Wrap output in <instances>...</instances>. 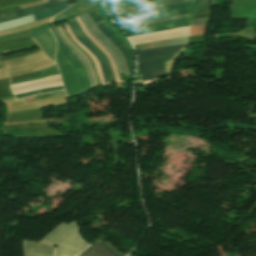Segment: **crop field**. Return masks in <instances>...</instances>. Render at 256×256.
<instances>
[{"label": "crop field", "instance_id": "8a807250", "mask_svg": "<svg viewBox=\"0 0 256 256\" xmlns=\"http://www.w3.org/2000/svg\"><path fill=\"white\" fill-rule=\"evenodd\" d=\"M52 32L55 35L56 40L58 42L57 49L72 64V66L75 70V73L78 77L80 88H81V91H79L80 88H79L78 80H77V77H76L74 70H73L72 66L70 65L69 61L57 51L56 52L57 66L61 72L64 87L66 89L67 94L79 91L76 93L69 94L68 97L75 96L80 93H84V92L88 91L90 89V86H89L87 75L85 73V70H84L81 62L65 45H63L61 43L57 34L53 30H52Z\"/></svg>", "mask_w": 256, "mask_h": 256}, {"label": "crop field", "instance_id": "ac0d7876", "mask_svg": "<svg viewBox=\"0 0 256 256\" xmlns=\"http://www.w3.org/2000/svg\"><path fill=\"white\" fill-rule=\"evenodd\" d=\"M184 46L185 45L146 51H139L135 48L138 53V66L142 80L156 79L166 74L167 72L164 66Z\"/></svg>", "mask_w": 256, "mask_h": 256}, {"label": "crop field", "instance_id": "34b2d1b8", "mask_svg": "<svg viewBox=\"0 0 256 256\" xmlns=\"http://www.w3.org/2000/svg\"><path fill=\"white\" fill-rule=\"evenodd\" d=\"M41 242L59 245L56 247L55 256H66L81 243H83L77 233L75 222L61 224ZM88 246L89 245L84 242L67 256H77Z\"/></svg>", "mask_w": 256, "mask_h": 256}, {"label": "crop field", "instance_id": "412701ff", "mask_svg": "<svg viewBox=\"0 0 256 256\" xmlns=\"http://www.w3.org/2000/svg\"><path fill=\"white\" fill-rule=\"evenodd\" d=\"M198 2L199 0H190V1H185V2H181V3L169 5V6H164V7L140 12V13L113 17L112 19L119 26L138 23V22H144V21H150V20H156V19H162V18L194 12Z\"/></svg>", "mask_w": 256, "mask_h": 256}, {"label": "crop field", "instance_id": "f4fd0767", "mask_svg": "<svg viewBox=\"0 0 256 256\" xmlns=\"http://www.w3.org/2000/svg\"><path fill=\"white\" fill-rule=\"evenodd\" d=\"M90 17L94 20L98 28L110 39V41L122 52L126 58L129 72L132 80L134 76L135 57L131 49L109 28L106 26L102 17L96 10L88 12Z\"/></svg>", "mask_w": 256, "mask_h": 256}, {"label": "crop field", "instance_id": "dd49c442", "mask_svg": "<svg viewBox=\"0 0 256 256\" xmlns=\"http://www.w3.org/2000/svg\"><path fill=\"white\" fill-rule=\"evenodd\" d=\"M72 23L74 24V26H75V28L78 31L80 36L78 35V33L75 30ZM67 24L70 26V28H71L73 34L75 35L76 39L78 41H80L84 46H86L94 54V56L98 59L100 65L102 67V70H103L105 82L106 83L110 82L109 78H112L114 76H113V73H112V67H111L110 62H109L108 58L106 57V55L94 43H92L88 39V37L82 32V30H81L79 24L77 23L76 19L71 20Z\"/></svg>", "mask_w": 256, "mask_h": 256}, {"label": "crop field", "instance_id": "e52e79f7", "mask_svg": "<svg viewBox=\"0 0 256 256\" xmlns=\"http://www.w3.org/2000/svg\"><path fill=\"white\" fill-rule=\"evenodd\" d=\"M183 36H189V26L172 29V30H167V31H162V32H157V33L132 36V37H130V39H131L133 45H136V44H141V43L160 41V40L171 39V38H176V37H183Z\"/></svg>", "mask_w": 256, "mask_h": 256}, {"label": "crop field", "instance_id": "d8731c3e", "mask_svg": "<svg viewBox=\"0 0 256 256\" xmlns=\"http://www.w3.org/2000/svg\"><path fill=\"white\" fill-rule=\"evenodd\" d=\"M71 1H73V0H54V1L46 3V4L20 9L15 12L0 16V23L3 21L13 20V19H17L19 17L35 14V13H38V12L68 3V2H71Z\"/></svg>", "mask_w": 256, "mask_h": 256}, {"label": "crop field", "instance_id": "5a996713", "mask_svg": "<svg viewBox=\"0 0 256 256\" xmlns=\"http://www.w3.org/2000/svg\"><path fill=\"white\" fill-rule=\"evenodd\" d=\"M29 34L38 42L43 51L54 60L56 44L53 36L50 33L49 26L43 27Z\"/></svg>", "mask_w": 256, "mask_h": 256}, {"label": "crop field", "instance_id": "3316defc", "mask_svg": "<svg viewBox=\"0 0 256 256\" xmlns=\"http://www.w3.org/2000/svg\"><path fill=\"white\" fill-rule=\"evenodd\" d=\"M207 19L208 18L196 19V20H190V21H184V22L168 24V25H164V26L144 28V29H139V30H134V31L126 32V34L128 36H132V35L157 32V31H162V30H167V29H172V28H177V27H182V26H187V25L206 24L207 23Z\"/></svg>", "mask_w": 256, "mask_h": 256}, {"label": "crop field", "instance_id": "28ad6ade", "mask_svg": "<svg viewBox=\"0 0 256 256\" xmlns=\"http://www.w3.org/2000/svg\"><path fill=\"white\" fill-rule=\"evenodd\" d=\"M25 256H53L54 248L48 244L23 241Z\"/></svg>", "mask_w": 256, "mask_h": 256}, {"label": "crop field", "instance_id": "d1516ede", "mask_svg": "<svg viewBox=\"0 0 256 256\" xmlns=\"http://www.w3.org/2000/svg\"><path fill=\"white\" fill-rule=\"evenodd\" d=\"M157 1H162V0H121V1H115V2H107V3H104V5L107 11H111V10L144 5V4L157 2Z\"/></svg>", "mask_w": 256, "mask_h": 256}, {"label": "crop field", "instance_id": "22f410ed", "mask_svg": "<svg viewBox=\"0 0 256 256\" xmlns=\"http://www.w3.org/2000/svg\"><path fill=\"white\" fill-rule=\"evenodd\" d=\"M87 253L93 254L95 256H119L112 249H110L107 245H105L104 243H102L100 241L93 244L91 247H89L86 251H84L79 256H86ZM89 254L87 256H93V255H89Z\"/></svg>", "mask_w": 256, "mask_h": 256}, {"label": "crop field", "instance_id": "cbeb9de0", "mask_svg": "<svg viewBox=\"0 0 256 256\" xmlns=\"http://www.w3.org/2000/svg\"><path fill=\"white\" fill-rule=\"evenodd\" d=\"M62 85L61 82L59 83H53V84H48V85H44V86H40V87H35V88H30V89H25V90H20V91H15L13 92L14 95L16 94H20L23 92H27V91H31V90H36V89H41V88H49V87H53V86H59ZM63 87L59 86V87H53V88H49V89H41V90H37V91H31V92H27L24 94H20V95H16V99H20L26 96H30V95H35V94H40V93H46V92H51V91H57V90H62Z\"/></svg>", "mask_w": 256, "mask_h": 256}, {"label": "crop field", "instance_id": "5142ce71", "mask_svg": "<svg viewBox=\"0 0 256 256\" xmlns=\"http://www.w3.org/2000/svg\"><path fill=\"white\" fill-rule=\"evenodd\" d=\"M52 28L56 31V33L58 34L59 38L61 39L62 43L65 44L79 59L80 61L83 63V66L86 70V73L88 75V78H89V81H90V84H91V87H94L96 86L95 83H94V80H93V76H92V73L90 71V67L89 65L87 64L86 60L83 58V56L78 53L74 48L73 46L67 42L63 35L61 34V32L56 28L55 24H53Z\"/></svg>", "mask_w": 256, "mask_h": 256}, {"label": "crop field", "instance_id": "d9b57169", "mask_svg": "<svg viewBox=\"0 0 256 256\" xmlns=\"http://www.w3.org/2000/svg\"><path fill=\"white\" fill-rule=\"evenodd\" d=\"M187 42H188V37L167 40V41H161V42L147 43V44H142V45H136V47L141 50H145V49H153V48H159V47H165V46H171V45L187 44Z\"/></svg>", "mask_w": 256, "mask_h": 256}, {"label": "crop field", "instance_id": "733c2abd", "mask_svg": "<svg viewBox=\"0 0 256 256\" xmlns=\"http://www.w3.org/2000/svg\"><path fill=\"white\" fill-rule=\"evenodd\" d=\"M84 17L87 19V21L90 23V25L93 27V29L106 41V43L118 54L122 66H123V70L125 75H129L128 73V69H127V65L125 62V58L124 56L121 54V52L108 40V38L97 28V26L95 25V23L93 22V20L89 17V15L87 13L83 14Z\"/></svg>", "mask_w": 256, "mask_h": 256}, {"label": "crop field", "instance_id": "4a817a6b", "mask_svg": "<svg viewBox=\"0 0 256 256\" xmlns=\"http://www.w3.org/2000/svg\"><path fill=\"white\" fill-rule=\"evenodd\" d=\"M181 1H185V0H171V1L162 2V3H156V4L141 6V7H135V8L125 9V10L114 11V12H110L109 14L111 17H113V16L128 14V13H132V12H137V11H141V10L152 9V8L169 5V4H173V3H177V2H181Z\"/></svg>", "mask_w": 256, "mask_h": 256}, {"label": "crop field", "instance_id": "bc2a9ffb", "mask_svg": "<svg viewBox=\"0 0 256 256\" xmlns=\"http://www.w3.org/2000/svg\"><path fill=\"white\" fill-rule=\"evenodd\" d=\"M80 18L83 20L86 28L88 29V31L90 32L91 35H93L113 56L117 67H118V71L119 72H123L122 70V66L121 63L119 61V58L117 56V54L105 43V41L91 28V26L88 24V22L86 21V19L83 17V15H80Z\"/></svg>", "mask_w": 256, "mask_h": 256}, {"label": "crop field", "instance_id": "214f88e0", "mask_svg": "<svg viewBox=\"0 0 256 256\" xmlns=\"http://www.w3.org/2000/svg\"><path fill=\"white\" fill-rule=\"evenodd\" d=\"M98 4H100V1L99 0H95V1L90 2V3L86 4V5H83V6L79 7V8H76V9H73V10H70V11H67V12H64V13H60V14L56 15L53 20H57V19H60V18H64V17H67V16H71V15L77 14L79 12H82V11H84L86 9H89V8H91L93 6H96Z\"/></svg>", "mask_w": 256, "mask_h": 256}, {"label": "crop field", "instance_id": "92a150f3", "mask_svg": "<svg viewBox=\"0 0 256 256\" xmlns=\"http://www.w3.org/2000/svg\"><path fill=\"white\" fill-rule=\"evenodd\" d=\"M65 26H66V30H67V32L69 33L70 37H71V38H72V39H73V40H74L91 58H92V60H93V62H94V64H95V66H96V68H97L98 75H99V79H100L101 83L104 84L105 82H104V79H103V76H102V73H101V70H100V66H99V63H98L97 59L92 55V53H91L87 48H85L81 43H79V42L75 39V37H74V35L72 34V32H71L69 26H68L67 24H65Z\"/></svg>", "mask_w": 256, "mask_h": 256}, {"label": "crop field", "instance_id": "dafd665d", "mask_svg": "<svg viewBox=\"0 0 256 256\" xmlns=\"http://www.w3.org/2000/svg\"><path fill=\"white\" fill-rule=\"evenodd\" d=\"M99 14L104 18L108 26L132 49L130 43L127 41V39L122 35V33L116 28V26L110 21V19L107 17L103 7L96 9ZM133 50V49H132Z\"/></svg>", "mask_w": 256, "mask_h": 256}, {"label": "crop field", "instance_id": "00972430", "mask_svg": "<svg viewBox=\"0 0 256 256\" xmlns=\"http://www.w3.org/2000/svg\"><path fill=\"white\" fill-rule=\"evenodd\" d=\"M77 18V17H76ZM78 18H79V16H78ZM77 18V20H78V22H79V24H80V26H81V28H82V30L84 31V33L108 56V58H109V60H110V62H111V65H112V67H113V73H114V76H115V80L116 81H119V79H118V75H117V71H116V67H115V64H114V62H113V60H112V58H111V56L109 55V53L97 42V41H95L88 33H87V31H86V29L84 28V24L82 25V21H81V19H80V21L82 22H80L79 21V19ZM121 81V80H120Z\"/></svg>", "mask_w": 256, "mask_h": 256}, {"label": "crop field", "instance_id": "a9b5d70f", "mask_svg": "<svg viewBox=\"0 0 256 256\" xmlns=\"http://www.w3.org/2000/svg\"><path fill=\"white\" fill-rule=\"evenodd\" d=\"M69 6V4H66V5H63L61 7H58V8H55V9H51V10H48V11H45V12H41V13H38V14H35V20H40V19H44V18H47V17H50L54 14H57L58 12L66 9L67 7Z\"/></svg>", "mask_w": 256, "mask_h": 256}, {"label": "crop field", "instance_id": "4177f3b9", "mask_svg": "<svg viewBox=\"0 0 256 256\" xmlns=\"http://www.w3.org/2000/svg\"><path fill=\"white\" fill-rule=\"evenodd\" d=\"M57 78H60V76L59 75L51 76V77H47V78H43V79H38V80H33V81L25 82V83L15 84V85H11V88L26 85V84H31V83H35V82H39V81H43V80L57 79Z\"/></svg>", "mask_w": 256, "mask_h": 256}, {"label": "crop field", "instance_id": "730fd06b", "mask_svg": "<svg viewBox=\"0 0 256 256\" xmlns=\"http://www.w3.org/2000/svg\"><path fill=\"white\" fill-rule=\"evenodd\" d=\"M59 81H61V80H60V79H57V80L43 81V82H39V83H35V84H31V85L23 86V87L13 88V89H12V91L20 90V89H25V88H29V87H33V86H37V85H41V84H47V83H53V82H59Z\"/></svg>", "mask_w": 256, "mask_h": 256}, {"label": "crop field", "instance_id": "eef30255", "mask_svg": "<svg viewBox=\"0 0 256 256\" xmlns=\"http://www.w3.org/2000/svg\"><path fill=\"white\" fill-rule=\"evenodd\" d=\"M230 125L236 128L256 130V126H251V125H245V124H239V123H233V122H230Z\"/></svg>", "mask_w": 256, "mask_h": 256}, {"label": "crop field", "instance_id": "ae1a2a85", "mask_svg": "<svg viewBox=\"0 0 256 256\" xmlns=\"http://www.w3.org/2000/svg\"><path fill=\"white\" fill-rule=\"evenodd\" d=\"M57 69H58L57 66H55V67H52V68H49V69L41 70V73L43 74V73L51 72V71H54V70H57Z\"/></svg>", "mask_w": 256, "mask_h": 256}, {"label": "crop field", "instance_id": "d3111659", "mask_svg": "<svg viewBox=\"0 0 256 256\" xmlns=\"http://www.w3.org/2000/svg\"><path fill=\"white\" fill-rule=\"evenodd\" d=\"M107 1H115V0H103V2H107Z\"/></svg>", "mask_w": 256, "mask_h": 256}, {"label": "crop field", "instance_id": "750c4746", "mask_svg": "<svg viewBox=\"0 0 256 256\" xmlns=\"http://www.w3.org/2000/svg\"><path fill=\"white\" fill-rule=\"evenodd\" d=\"M50 1H52V0H50Z\"/></svg>", "mask_w": 256, "mask_h": 256}, {"label": "crop field", "instance_id": "bd1437ed", "mask_svg": "<svg viewBox=\"0 0 256 256\" xmlns=\"http://www.w3.org/2000/svg\"><path fill=\"white\" fill-rule=\"evenodd\" d=\"M129 256H131V255H129Z\"/></svg>", "mask_w": 256, "mask_h": 256}]
</instances>
